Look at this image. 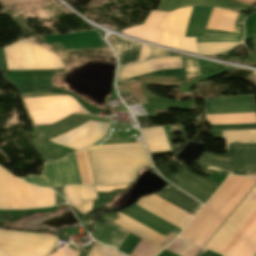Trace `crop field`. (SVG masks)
Wrapping results in <instances>:
<instances>
[{
	"label": "crop field",
	"instance_id": "22",
	"mask_svg": "<svg viewBox=\"0 0 256 256\" xmlns=\"http://www.w3.org/2000/svg\"><path fill=\"white\" fill-rule=\"evenodd\" d=\"M239 13L221 9L214 8L206 29L211 30H225L234 32L235 22Z\"/></svg>",
	"mask_w": 256,
	"mask_h": 256
},
{
	"label": "crop field",
	"instance_id": "26",
	"mask_svg": "<svg viewBox=\"0 0 256 256\" xmlns=\"http://www.w3.org/2000/svg\"><path fill=\"white\" fill-rule=\"evenodd\" d=\"M75 155L82 184H94L88 162L87 151L76 152Z\"/></svg>",
	"mask_w": 256,
	"mask_h": 256
},
{
	"label": "crop field",
	"instance_id": "6",
	"mask_svg": "<svg viewBox=\"0 0 256 256\" xmlns=\"http://www.w3.org/2000/svg\"><path fill=\"white\" fill-rule=\"evenodd\" d=\"M206 114L256 112L252 96L205 100ZM210 124L256 123V113L206 115Z\"/></svg>",
	"mask_w": 256,
	"mask_h": 256
},
{
	"label": "crop field",
	"instance_id": "43",
	"mask_svg": "<svg viewBox=\"0 0 256 256\" xmlns=\"http://www.w3.org/2000/svg\"><path fill=\"white\" fill-rule=\"evenodd\" d=\"M254 73V75H255V79H256V72H253Z\"/></svg>",
	"mask_w": 256,
	"mask_h": 256
},
{
	"label": "crop field",
	"instance_id": "40",
	"mask_svg": "<svg viewBox=\"0 0 256 256\" xmlns=\"http://www.w3.org/2000/svg\"><path fill=\"white\" fill-rule=\"evenodd\" d=\"M147 48H148L147 45H143L142 44L139 62L145 61V56H146Z\"/></svg>",
	"mask_w": 256,
	"mask_h": 256
},
{
	"label": "crop field",
	"instance_id": "28",
	"mask_svg": "<svg viewBox=\"0 0 256 256\" xmlns=\"http://www.w3.org/2000/svg\"><path fill=\"white\" fill-rule=\"evenodd\" d=\"M9 208L8 172L0 167V209Z\"/></svg>",
	"mask_w": 256,
	"mask_h": 256
},
{
	"label": "crop field",
	"instance_id": "4",
	"mask_svg": "<svg viewBox=\"0 0 256 256\" xmlns=\"http://www.w3.org/2000/svg\"><path fill=\"white\" fill-rule=\"evenodd\" d=\"M9 70L64 68L52 52L26 39L4 48Z\"/></svg>",
	"mask_w": 256,
	"mask_h": 256
},
{
	"label": "crop field",
	"instance_id": "32",
	"mask_svg": "<svg viewBox=\"0 0 256 256\" xmlns=\"http://www.w3.org/2000/svg\"><path fill=\"white\" fill-rule=\"evenodd\" d=\"M87 256H124L112 250H109L97 243L93 246Z\"/></svg>",
	"mask_w": 256,
	"mask_h": 256
},
{
	"label": "crop field",
	"instance_id": "11",
	"mask_svg": "<svg viewBox=\"0 0 256 256\" xmlns=\"http://www.w3.org/2000/svg\"><path fill=\"white\" fill-rule=\"evenodd\" d=\"M108 125L109 123L89 121L86 124L68 132L98 141L101 137H103L105 131L108 128ZM68 132H65L50 140L75 150L81 149L83 147H86L96 142V141H93L84 137H80Z\"/></svg>",
	"mask_w": 256,
	"mask_h": 256
},
{
	"label": "crop field",
	"instance_id": "1",
	"mask_svg": "<svg viewBox=\"0 0 256 256\" xmlns=\"http://www.w3.org/2000/svg\"><path fill=\"white\" fill-rule=\"evenodd\" d=\"M255 184V178L229 176L179 236L203 246Z\"/></svg>",
	"mask_w": 256,
	"mask_h": 256
},
{
	"label": "crop field",
	"instance_id": "25",
	"mask_svg": "<svg viewBox=\"0 0 256 256\" xmlns=\"http://www.w3.org/2000/svg\"><path fill=\"white\" fill-rule=\"evenodd\" d=\"M64 192L67 202L82 215L91 212L93 201L82 202L78 186H67Z\"/></svg>",
	"mask_w": 256,
	"mask_h": 256
},
{
	"label": "crop field",
	"instance_id": "24",
	"mask_svg": "<svg viewBox=\"0 0 256 256\" xmlns=\"http://www.w3.org/2000/svg\"><path fill=\"white\" fill-rule=\"evenodd\" d=\"M149 152L170 150L162 126L141 129Z\"/></svg>",
	"mask_w": 256,
	"mask_h": 256
},
{
	"label": "crop field",
	"instance_id": "3",
	"mask_svg": "<svg viewBox=\"0 0 256 256\" xmlns=\"http://www.w3.org/2000/svg\"><path fill=\"white\" fill-rule=\"evenodd\" d=\"M226 144L256 142V130L222 131ZM227 154L205 153L198 165L230 174H256V143L226 145Z\"/></svg>",
	"mask_w": 256,
	"mask_h": 256
},
{
	"label": "crop field",
	"instance_id": "17",
	"mask_svg": "<svg viewBox=\"0 0 256 256\" xmlns=\"http://www.w3.org/2000/svg\"><path fill=\"white\" fill-rule=\"evenodd\" d=\"M211 6L229 8L237 11L248 12L251 6L236 2L234 0H161L157 10L171 11L182 6Z\"/></svg>",
	"mask_w": 256,
	"mask_h": 256
},
{
	"label": "crop field",
	"instance_id": "38",
	"mask_svg": "<svg viewBox=\"0 0 256 256\" xmlns=\"http://www.w3.org/2000/svg\"><path fill=\"white\" fill-rule=\"evenodd\" d=\"M207 251V249L202 248L196 245L190 252H188L185 256H201Z\"/></svg>",
	"mask_w": 256,
	"mask_h": 256
},
{
	"label": "crop field",
	"instance_id": "31",
	"mask_svg": "<svg viewBox=\"0 0 256 256\" xmlns=\"http://www.w3.org/2000/svg\"><path fill=\"white\" fill-rule=\"evenodd\" d=\"M242 38L230 35L205 34V37L196 38V42H240Z\"/></svg>",
	"mask_w": 256,
	"mask_h": 256
},
{
	"label": "crop field",
	"instance_id": "14",
	"mask_svg": "<svg viewBox=\"0 0 256 256\" xmlns=\"http://www.w3.org/2000/svg\"><path fill=\"white\" fill-rule=\"evenodd\" d=\"M152 196L142 198L136 205L144 208L145 210L153 213L154 215L164 219L165 221L173 224L174 226H176V227H178L182 230L189 223V221L192 219L190 217H193V216H191V215L185 213L184 211L174 207L173 205L165 202L164 200H162V199H160L156 196H153V197L163 201L164 203L172 206L173 208L183 212L184 214L190 216V217H188V216L182 214L181 212L173 209L172 207L162 203L161 201L153 198Z\"/></svg>",
	"mask_w": 256,
	"mask_h": 256
},
{
	"label": "crop field",
	"instance_id": "13",
	"mask_svg": "<svg viewBox=\"0 0 256 256\" xmlns=\"http://www.w3.org/2000/svg\"><path fill=\"white\" fill-rule=\"evenodd\" d=\"M256 226V210L222 249L220 254L231 256L247 235ZM256 254V227L233 253L232 256H254Z\"/></svg>",
	"mask_w": 256,
	"mask_h": 256
},
{
	"label": "crop field",
	"instance_id": "35",
	"mask_svg": "<svg viewBox=\"0 0 256 256\" xmlns=\"http://www.w3.org/2000/svg\"><path fill=\"white\" fill-rule=\"evenodd\" d=\"M143 146L142 143L90 146L83 150Z\"/></svg>",
	"mask_w": 256,
	"mask_h": 256
},
{
	"label": "crop field",
	"instance_id": "39",
	"mask_svg": "<svg viewBox=\"0 0 256 256\" xmlns=\"http://www.w3.org/2000/svg\"><path fill=\"white\" fill-rule=\"evenodd\" d=\"M245 15L240 14L237 22H236V28H235V32L237 33H243V20H244Z\"/></svg>",
	"mask_w": 256,
	"mask_h": 256
},
{
	"label": "crop field",
	"instance_id": "19",
	"mask_svg": "<svg viewBox=\"0 0 256 256\" xmlns=\"http://www.w3.org/2000/svg\"><path fill=\"white\" fill-rule=\"evenodd\" d=\"M119 215L113 218L112 222L117 225L127 229L128 231L135 233L136 235L144 238L150 243L156 245L157 247L163 249L166 245H168L171 240L156 233L155 231L137 223L136 221L118 213Z\"/></svg>",
	"mask_w": 256,
	"mask_h": 256
},
{
	"label": "crop field",
	"instance_id": "16",
	"mask_svg": "<svg viewBox=\"0 0 256 256\" xmlns=\"http://www.w3.org/2000/svg\"><path fill=\"white\" fill-rule=\"evenodd\" d=\"M183 68L181 57L153 59L144 63L119 69L118 79L125 80L159 69Z\"/></svg>",
	"mask_w": 256,
	"mask_h": 256
},
{
	"label": "crop field",
	"instance_id": "34",
	"mask_svg": "<svg viewBox=\"0 0 256 256\" xmlns=\"http://www.w3.org/2000/svg\"><path fill=\"white\" fill-rule=\"evenodd\" d=\"M83 201L98 199L95 189L91 185L79 186Z\"/></svg>",
	"mask_w": 256,
	"mask_h": 256
},
{
	"label": "crop field",
	"instance_id": "18",
	"mask_svg": "<svg viewBox=\"0 0 256 256\" xmlns=\"http://www.w3.org/2000/svg\"><path fill=\"white\" fill-rule=\"evenodd\" d=\"M166 14L167 12L151 11L144 25L126 29L123 33L159 44L162 31L157 27Z\"/></svg>",
	"mask_w": 256,
	"mask_h": 256
},
{
	"label": "crop field",
	"instance_id": "23",
	"mask_svg": "<svg viewBox=\"0 0 256 256\" xmlns=\"http://www.w3.org/2000/svg\"><path fill=\"white\" fill-rule=\"evenodd\" d=\"M140 46L117 36L115 50L120 55V67L138 62Z\"/></svg>",
	"mask_w": 256,
	"mask_h": 256
},
{
	"label": "crop field",
	"instance_id": "30",
	"mask_svg": "<svg viewBox=\"0 0 256 256\" xmlns=\"http://www.w3.org/2000/svg\"><path fill=\"white\" fill-rule=\"evenodd\" d=\"M161 250L142 240L131 253V256H156Z\"/></svg>",
	"mask_w": 256,
	"mask_h": 256
},
{
	"label": "crop field",
	"instance_id": "12",
	"mask_svg": "<svg viewBox=\"0 0 256 256\" xmlns=\"http://www.w3.org/2000/svg\"><path fill=\"white\" fill-rule=\"evenodd\" d=\"M173 179V183L204 203L220 185L206 177L193 173L187 165L181 167L173 175Z\"/></svg>",
	"mask_w": 256,
	"mask_h": 256
},
{
	"label": "crop field",
	"instance_id": "2",
	"mask_svg": "<svg viewBox=\"0 0 256 256\" xmlns=\"http://www.w3.org/2000/svg\"><path fill=\"white\" fill-rule=\"evenodd\" d=\"M89 153L98 185L131 182L139 168L150 166L143 148L97 150Z\"/></svg>",
	"mask_w": 256,
	"mask_h": 256
},
{
	"label": "crop field",
	"instance_id": "27",
	"mask_svg": "<svg viewBox=\"0 0 256 256\" xmlns=\"http://www.w3.org/2000/svg\"><path fill=\"white\" fill-rule=\"evenodd\" d=\"M238 43H196L198 53L212 54L226 51Z\"/></svg>",
	"mask_w": 256,
	"mask_h": 256
},
{
	"label": "crop field",
	"instance_id": "29",
	"mask_svg": "<svg viewBox=\"0 0 256 256\" xmlns=\"http://www.w3.org/2000/svg\"><path fill=\"white\" fill-rule=\"evenodd\" d=\"M195 244L176 238L166 250L175 253L179 256H184L190 249H192Z\"/></svg>",
	"mask_w": 256,
	"mask_h": 256
},
{
	"label": "crop field",
	"instance_id": "9",
	"mask_svg": "<svg viewBox=\"0 0 256 256\" xmlns=\"http://www.w3.org/2000/svg\"><path fill=\"white\" fill-rule=\"evenodd\" d=\"M10 209H33L55 205L54 192L28 185L9 174Z\"/></svg>",
	"mask_w": 256,
	"mask_h": 256
},
{
	"label": "crop field",
	"instance_id": "5",
	"mask_svg": "<svg viewBox=\"0 0 256 256\" xmlns=\"http://www.w3.org/2000/svg\"><path fill=\"white\" fill-rule=\"evenodd\" d=\"M35 125L52 124L71 113L88 114L70 96L24 98Z\"/></svg>",
	"mask_w": 256,
	"mask_h": 256
},
{
	"label": "crop field",
	"instance_id": "8",
	"mask_svg": "<svg viewBox=\"0 0 256 256\" xmlns=\"http://www.w3.org/2000/svg\"><path fill=\"white\" fill-rule=\"evenodd\" d=\"M21 179L30 184L49 187L53 190L54 187L81 184L74 153L50 164H45L43 175L40 177L32 175Z\"/></svg>",
	"mask_w": 256,
	"mask_h": 256
},
{
	"label": "crop field",
	"instance_id": "21",
	"mask_svg": "<svg viewBox=\"0 0 256 256\" xmlns=\"http://www.w3.org/2000/svg\"><path fill=\"white\" fill-rule=\"evenodd\" d=\"M93 229L91 235L95 240L105 245L107 244L117 250L129 233L112 226H102L98 224H95Z\"/></svg>",
	"mask_w": 256,
	"mask_h": 256
},
{
	"label": "crop field",
	"instance_id": "20",
	"mask_svg": "<svg viewBox=\"0 0 256 256\" xmlns=\"http://www.w3.org/2000/svg\"><path fill=\"white\" fill-rule=\"evenodd\" d=\"M155 195L170 202L178 208L186 211L191 215H195L201 208V204L193 200L192 198L184 195L183 193L167 186L163 191L156 193Z\"/></svg>",
	"mask_w": 256,
	"mask_h": 256
},
{
	"label": "crop field",
	"instance_id": "7",
	"mask_svg": "<svg viewBox=\"0 0 256 256\" xmlns=\"http://www.w3.org/2000/svg\"><path fill=\"white\" fill-rule=\"evenodd\" d=\"M58 239L49 235L0 230V246L52 251ZM0 247V256H48L50 252Z\"/></svg>",
	"mask_w": 256,
	"mask_h": 256
},
{
	"label": "crop field",
	"instance_id": "42",
	"mask_svg": "<svg viewBox=\"0 0 256 256\" xmlns=\"http://www.w3.org/2000/svg\"><path fill=\"white\" fill-rule=\"evenodd\" d=\"M236 1H239V2H242V3H246V4H249V5H254L256 4V0H236Z\"/></svg>",
	"mask_w": 256,
	"mask_h": 256
},
{
	"label": "crop field",
	"instance_id": "33",
	"mask_svg": "<svg viewBox=\"0 0 256 256\" xmlns=\"http://www.w3.org/2000/svg\"><path fill=\"white\" fill-rule=\"evenodd\" d=\"M185 64H186V77L187 78L200 75L199 71H198L197 61L195 58L185 57Z\"/></svg>",
	"mask_w": 256,
	"mask_h": 256
},
{
	"label": "crop field",
	"instance_id": "10",
	"mask_svg": "<svg viewBox=\"0 0 256 256\" xmlns=\"http://www.w3.org/2000/svg\"><path fill=\"white\" fill-rule=\"evenodd\" d=\"M255 208L256 186L207 243L205 248L219 253Z\"/></svg>",
	"mask_w": 256,
	"mask_h": 256
},
{
	"label": "crop field",
	"instance_id": "36",
	"mask_svg": "<svg viewBox=\"0 0 256 256\" xmlns=\"http://www.w3.org/2000/svg\"><path fill=\"white\" fill-rule=\"evenodd\" d=\"M168 54H169V52H167V51L160 50V49L149 46L147 58L164 57V56H168Z\"/></svg>",
	"mask_w": 256,
	"mask_h": 256
},
{
	"label": "crop field",
	"instance_id": "37",
	"mask_svg": "<svg viewBox=\"0 0 256 256\" xmlns=\"http://www.w3.org/2000/svg\"><path fill=\"white\" fill-rule=\"evenodd\" d=\"M79 253L75 252L67 247L61 249L60 251L52 254L51 256H78Z\"/></svg>",
	"mask_w": 256,
	"mask_h": 256
},
{
	"label": "crop field",
	"instance_id": "41",
	"mask_svg": "<svg viewBox=\"0 0 256 256\" xmlns=\"http://www.w3.org/2000/svg\"><path fill=\"white\" fill-rule=\"evenodd\" d=\"M205 33L230 34V35H239V36L243 35V34H237V33L225 32V31H210V30H206Z\"/></svg>",
	"mask_w": 256,
	"mask_h": 256
},
{
	"label": "crop field",
	"instance_id": "15",
	"mask_svg": "<svg viewBox=\"0 0 256 256\" xmlns=\"http://www.w3.org/2000/svg\"><path fill=\"white\" fill-rule=\"evenodd\" d=\"M121 213L172 240L182 231L135 205Z\"/></svg>",
	"mask_w": 256,
	"mask_h": 256
}]
</instances>
